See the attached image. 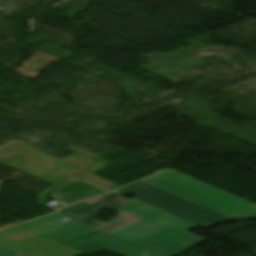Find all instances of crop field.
<instances>
[{"mask_svg":"<svg viewBox=\"0 0 256 256\" xmlns=\"http://www.w3.org/2000/svg\"><path fill=\"white\" fill-rule=\"evenodd\" d=\"M120 208L147 219L109 234L162 256H174L205 240L188 230L198 225L131 199Z\"/></svg>","mask_w":256,"mask_h":256,"instance_id":"obj_1","label":"crop field"},{"mask_svg":"<svg viewBox=\"0 0 256 256\" xmlns=\"http://www.w3.org/2000/svg\"><path fill=\"white\" fill-rule=\"evenodd\" d=\"M141 181L232 219L256 217V205L244 202L242 199L179 174L172 169L162 170Z\"/></svg>","mask_w":256,"mask_h":256,"instance_id":"obj_2","label":"crop field"},{"mask_svg":"<svg viewBox=\"0 0 256 256\" xmlns=\"http://www.w3.org/2000/svg\"><path fill=\"white\" fill-rule=\"evenodd\" d=\"M126 195L136 196L134 199L202 225L204 227L232 220L192 202L162 191L146 183L138 181L117 190Z\"/></svg>","mask_w":256,"mask_h":256,"instance_id":"obj_3","label":"crop field"},{"mask_svg":"<svg viewBox=\"0 0 256 256\" xmlns=\"http://www.w3.org/2000/svg\"><path fill=\"white\" fill-rule=\"evenodd\" d=\"M131 201L122 198L121 194L112 192L106 195H102L91 200L79 203L74 206L67 207L59 213L84 222L93 227L102 229L106 232L113 231L115 229L121 228L123 226L132 224L134 222L145 219L143 217L137 216L130 212L124 211L122 209L118 210L120 215L118 218L114 219L110 223L104 224L96 220L100 209L113 205L115 207H120Z\"/></svg>","mask_w":256,"mask_h":256,"instance_id":"obj_4","label":"crop field"},{"mask_svg":"<svg viewBox=\"0 0 256 256\" xmlns=\"http://www.w3.org/2000/svg\"><path fill=\"white\" fill-rule=\"evenodd\" d=\"M0 245L25 256H77L81 254L17 226L0 231Z\"/></svg>","mask_w":256,"mask_h":256,"instance_id":"obj_5","label":"crop field"},{"mask_svg":"<svg viewBox=\"0 0 256 256\" xmlns=\"http://www.w3.org/2000/svg\"><path fill=\"white\" fill-rule=\"evenodd\" d=\"M65 217L56 213L18 226L61 244L99 231L69 217L70 220H61Z\"/></svg>","mask_w":256,"mask_h":256,"instance_id":"obj_6","label":"crop field"},{"mask_svg":"<svg viewBox=\"0 0 256 256\" xmlns=\"http://www.w3.org/2000/svg\"><path fill=\"white\" fill-rule=\"evenodd\" d=\"M64 246L85 254L107 250L121 256H159L132 243H127L113 237L105 232Z\"/></svg>","mask_w":256,"mask_h":256,"instance_id":"obj_7","label":"crop field"},{"mask_svg":"<svg viewBox=\"0 0 256 256\" xmlns=\"http://www.w3.org/2000/svg\"><path fill=\"white\" fill-rule=\"evenodd\" d=\"M107 191L110 190L84 179H73L55 188L53 194L49 196L59 200V204L65 206Z\"/></svg>","mask_w":256,"mask_h":256,"instance_id":"obj_8","label":"crop field"},{"mask_svg":"<svg viewBox=\"0 0 256 256\" xmlns=\"http://www.w3.org/2000/svg\"><path fill=\"white\" fill-rule=\"evenodd\" d=\"M17 255H21V254L0 246V256H17Z\"/></svg>","mask_w":256,"mask_h":256,"instance_id":"obj_9","label":"crop field"}]
</instances>
